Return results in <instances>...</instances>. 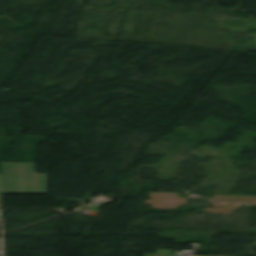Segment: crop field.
I'll list each match as a JSON object with an SVG mask.
<instances>
[{
    "label": "crop field",
    "instance_id": "ac0d7876",
    "mask_svg": "<svg viewBox=\"0 0 256 256\" xmlns=\"http://www.w3.org/2000/svg\"><path fill=\"white\" fill-rule=\"evenodd\" d=\"M158 254H170L169 250H157Z\"/></svg>",
    "mask_w": 256,
    "mask_h": 256
},
{
    "label": "crop field",
    "instance_id": "34b2d1b8",
    "mask_svg": "<svg viewBox=\"0 0 256 256\" xmlns=\"http://www.w3.org/2000/svg\"><path fill=\"white\" fill-rule=\"evenodd\" d=\"M145 256H175V255H145Z\"/></svg>",
    "mask_w": 256,
    "mask_h": 256
},
{
    "label": "crop field",
    "instance_id": "8a807250",
    "mask_svg": "<svg viewBox=\"0 0 256 256\" xmlns=\"http://www.w3.org/2000/svg\"><path fill=\"white\" fill-rule=\"evenodd\" d=\"M1 194H46L47 175H36L35 164L0 163Z\"/></svg>",
    "mask_w": 256,
    "mask_h": 256
},
{
    "label": "crop field",
    "instance_id": "412701ff",
    "mask_svg": "<svg viewBox=\"0 0 256 256\" xmlns=\"http://www.w3.org/2000/svg\"><path fill=\"white\" fill-rule=\"evenodd\" d=\"M0 249H1V240H0Z\"/></svg>",
    "mask_w": 256,
    "mask_h": 256
}]
</instances>
